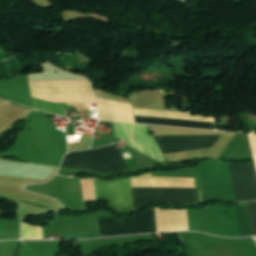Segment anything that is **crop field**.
<instances>
[{"mask_svg":"<svg viewBox=\"0 0 256 256\" xmlns=\"http://www.w3.org/2000/svg\"><path fill=\"white\" fill-rule=\"evenodd\" d=\"M21 246H22L21 242L17 241L15 252H14L13 256H19L20 251H21Z\"/></svg>","mask_w":256,"mask_h":256,"instance_id":"crop-field-10","label":"crop field"},{"mask_svg":"<svg viewBox=\"0 0 256 256\" xmlns=\"http://www.w3.org/2000/svg\"><path fill=\"white\" fill-rule=\"evenodd\" d=\"M61 167L89 169L107 174L120 173L129 170L115 145L68 153L65 156Z\"/></svg>","mask_w":256,"mask_h":256,"instance_id":"crop-field-1","label":"crop field"},{"mask_svg":"<svg viewBox=\"0 0 256 256\" xmlns=\"http://www.w3.org/2000/svg\"><path fill=\"white\" fill-rule=\"evenodd\" d=\"M236 210L241 236L253 234L256 235V202H249L250 220L253 234L249 221L248 202L239 203V205L236 206Z\"/></svg>","mask_w":256,"mask_h":256,"instance_id":"crop-field-7","label":"crop field"},{"mask_svg":"<svg viewBox=\"0 0 256 256\" xmlns=\"http://www.w3.org/2000/svg\"><path fill=\"white\" fill-rule=\"evenodd\" d=\"M220 136L154 137L163 154L211 148Z\"/></svg>","mask_w":256,"mask_h":256,"instance_id":"crop-field-6","label":"crop field"},{"mask_svg":"<svg viewBox=\"0 0 256 256\" xmlns=\"http://www.w3.org/2000/svg\"><path fill=\"white\" fill-rule=\"evenodd\" d=\"M136 123L215 129V123L135 116Z\"/></svg>","mask_w":256,"mask_h":256,"instance_id":"crop-field-8","label":"crop field"},{"mask_svg":"<svg viewBox=\"0 0 256 256\" xmlns=\"http://www.w3.org/2000/svg\"><path fill=\"white\" fill-rule=\"evenodd\" d=\"M97 199L109 200L119 212L133 210L130 194V178L102 182L94 179Z\"/></svg>","mask_w":256,"mask_h":256,"instance_id":"crop-field-4","label":"crop field"},{"mask_svg":"<svg viewBox=\"0 0 256 256\" xmlns=\"http://www.w3.org/2000/svg\"><path fill=\"white\" fill-rule=\"evenodd\" d=\"M32 100H33V106L35 109H39V110H43V111H47V112H51V113H55L63 116H65V113L63 111L64 109H73V106H70V105L50 103V102H46V101H42L34 98H32Z\"/></svg>","mask_w":256,"mask_h":256,"instance_id":"crop-field-9","label":"crop field"},{"mask_svg":"<svg viewBox=\"0 0 256 256\" xmlns=\"http://www.w3.org/2000/svg\"><path fill=\"white\" fill-rule=\"evenodd\" d=\"M237 201L256 200L254 164L228 163Z\"/></svg>","mask_w":256,"mask_h":256,"instance_id":"crop-field-5","label":"crop field"},{"mask_svg":"<svg viewBox=\"0 0 256 256\" xmlns=\"http://www.w3.org/2000/svg\"><path fill=\"white\" fill-rule=\"evenodd\" d=\"M134 211L151 202L196 203L195 188H132Z\"/></svg>","mask_w":256,"mask_h":256,"instance_id":"crop-field-3","label":"crop field"},{"mask_svg":"<svg viewBox=\"0 0 256 256\" xmlns=\"http://www.w3.org/2000/svg\"><path fill=\"white\" fill-rule=\"evenodd\" d=\"M100 235L113 236L156 232L154 208L140 216L98 218Z\"/></svg>","mask_w":256,"mask_h":256,"instance_id":"crop-field-2","label":"crop field"}]
</instances>
